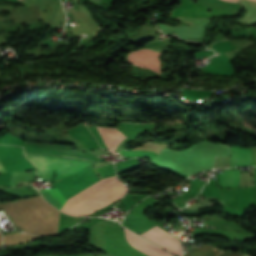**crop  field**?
<instances>
[{
    "instance_id": "11",
    "label": "crop field",
    "mask_w": 256,
    "mask_h": 256,
    "mask_svg": "<svg viewBox=\"0 0 256 256\" xmlns=\"http://www.w3.org/2000/svg\"><path fill=\"white\" fill-rule=\"evenodd\" d=\"M252 149H253V155H254V162L256 166V147H252Z\"/></svg>"
},
{
    "instance_id": "3",
    "label": "crop field",
    "mask_w": 256,
    "mask_h": 256,
    "mask_svg": "<svg viewBox=\"0 0 256 256\" xmlns=\"http://www.w3.org/2000/svg\"><path fill=\"white\" fill-rule=\"evenodd\" d=\"M142 236L158 244L159 246L181 256V249L178 239L163 231L160 227L154 226L153 228L143 233Z\"/></svg>"
},
{
    "instance_id": "4",
    "label": "crop field",
    "mask_w": 256,
    "mask_h": 256,
    "mask_svg": "<svg viewBox=\"0 0 256 256\" xmlns=\"http://www.w3.org/2000/svg\"><path fill=\"white\" fill-rule=\"evenodd\" d=\"M123 229H124V233H125L128 243L131 246L144 252L148 256H174V255L166 252L165 250L155 246L154 244L146 241L145 239H143L142 237L133 233L132 231H130L124 227H123Z\"/></svg>"
},
{
    "instance_id": "8",
    "label": "crop field",
    "mask_w": 256,
    "mask_h": 256,
    "mask_svg": "<svg viewBox=\"0 0 256 256\" xmlns=\"http://www.w3.org/2000/svg\"><path fill=\"white\" fill-rule=\"evenodd\" d=\"M41 192L44 195V197L54 206H56L59 210L66 201L57 189H45L42 190Z\"/></svg>"
},
{
    "instance_id": "12",
    "label": "crop field",
    "mask_w": 256,
    "mask_h": 256,
    "mask_svg": "<svg viewBox=\"0 0 256 256\" xmlns=\"http://www.w3.org/2000/svg\"><path fill=\"white\" fill-rule=\"evenodd\" d=\"M5 171V169L2 167V165L0 164V172Z\"/></svg>"
},
{
    "instance_id": "13",
    "label": "crop field",
    "mask_w": 256,
    "mask_h": 256,
    "mask_svg": "<svg viewBox=\"0 0 256 256\" xmlns=\"http://www.w3.org/2000/svg\"><path fill=\"white\" fill-rule=\"evenodd\" d=\"M204 73H206L207 74V72H206V68H203V69H201Z\"/></svg>"
},
{
    "instance_id": "9",
    "label": "crop field",
    "mask_w": 256,
    "mask_h": 256,
    "mask_svg": "<svg viewBox=\"0 0 256 256\" xmlns=\"http://www.w3.org/2000/svg\"><path fill=\"white\" fill-rule=\"evenodd\" d=\"M221 251L210 244L198 247L183 256H218Z\"/></svg>"
},
{
    "instance_id": "5",
    "label": "crop field",
    "mask_w": 256,
    "mask_h": 256,
    "mask_svg": "<svg viewBox=\"0 0 256 256\" xmlns=\"http://www.w3.org/2000/svg\"><path fill=\"white\" fill-rule=\"evenodd\" d=\"M96 128L100 133L103 141L105 142L107 148L111 151H114L118 143L125 138V136L115 128L100 126H96Z\"/></svg>"
},
{
    "instance_id": "6",
    "label": "crop field",
    "mask_w": 256,
    "mask_h": 256,
    "mask_svg": "<svg viewBox=\"0 0 256 256\" xmlns=\"http://www.w3.org/2000/svg\"><path fill=\"white\" fill-rule=\"evenodd\" d=\"M246 165L254 166L251 150L231 148L230 167Z\"/></svg>"
},
{
    "instance_id": "7",
    "label": "crop field",
    "mask_w": 256,
    "mask_h": 256,
    "mask_svg": "<svg viewBox=\"0 0 256 256\" xmlns=\"http://www.w3.org/2000/svg\"><path fill=\"white\" fill-rule=\"evenodd\" d=\"M222 187H236L239 183V171H224L219 173Z\"/></svg>"
},
{
    "instance_id": "1",
    "label": "crop field",
    "mask_w": 256,
    "mask_h": 256,
    "mask_svg": "<svg viewBox=\"0 0 256 256\" xmlns=\"http://www.w3.org/2000/svg\"><path fill=\"white\" fill-rule=\"evenodd\" d=\"M26 156L36 165L38 171L37 175L50 180L52 157L35 154H26ZM89 164L88 162L53 157V170L56 169L57 172L56 180L64 178Z\"/></svg>"
},
{
    "instance_id": "10",
    "label": "crop field",
    "mask_w": 256,
    "mask_h": 256,
    "mask_svg": "<svg viewBox=\"0 0 256 256\" xmlns=\"http://www.w3.org/2000/svg\"><path fill=\"white\" fill-rule=\"evenodd\" d=\"M219 256H242V254L226 252V253H221ZM243 256H244V255H243ZM245 256H246V255H245Z\"/></svg>"
},
{
    "instance_id": "2",
    "label": "crop field",
    "mask_w": 256,
    "mask_h": 256,
    "mask_svg": "<svg viewBox=\"0 0 256 256\" xmlns=\"http://www.w3.org/2000/svg\"><path fill=\"white\" fill-rule=\"evenodd\" d=\"M125 191L126 186L118 183L82 204L73 212L72 215L82 216L91 214L96 210L120 198L122 195H124Z\"/></svg>"
}]
</instances>
